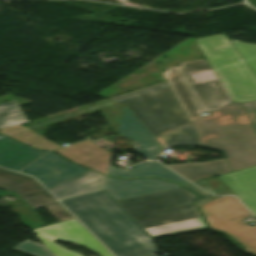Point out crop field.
<instances>
[{
  "label": "crop field",
  "instance_id": "crop-field-1",
  "mask_svg": "<svg viewBox=\"0 0 256 256\" xmlns=\"http://www.w3.org/2000/svg\"><path fill=\"white\" fill-rule=\"evenodd\" d=\"M61 202L117 256L157 252L153 238L104 190Z\"/></svg>",
  "mask_w": 256,
  "mask_h": 256
},
{
  "label": "crop field",
  "instance_id": "crop-field-2",
  "mask_svg": "<svg viewBox=\"0 0 256 256\" xmlns=\"http://www.w3.org/2000/svg\"><path fill=\"white\" fill-rule=\"evenodd\" d=\"M195 198L179 188L117 202L156 238L204 229V223L191 203Z\"/></svg>",
  "mask_w": 256,
  "mask_h": 256
},
{
  "label": "crop field",
  "instance_id": "crop-field-3",
  "mask_svg": "<svg viewBox=\"0 0 256 256\" xmlns=\"http://www.w3.org/2000/svg\"><path fill=\"white\" fill-rule=\"evenodd\" d=\"M193 127L203 147L223 151L232 171L256 165V135L240 104L230 102Z\"/></svg>",
  "mask_w": 256,
  "mask_h": 256
},
{
  "label": "crop field",
  "instance_id": "crop-field-4",
  "mask_svg": "<svg viewBox=\"0 0 256 256\" xmlns=\"http://www.w3.org/2000/svg\"><path fill=\"white\" fill-rule=\"evenodd\" d=\"M179 64L163 74L190 121L231 101L206 59Z\"/></svg>",
  "mask_w": 256,
  "mask_h": 256
},
{
  "label": "crop field",
  "instance_id": "crop-field-5",
  "mask_svg": "<svg viewBox=\"0 0 256 256\" xmlns=\"http://www.w3.org/2000/svg\"><path fill=\"white\" fill-rule=\"evenodd\" d=\"M110 99L124 102L155 138L189 123L167 81Z\"/></svg>",
  "mask_w": 256,
  "mask_h": 256
},
{
  "label": "crop field",
  "instance_id": "crop-field-6",
  "mask_svg": "<svg viewBox=\"0 0 256 256\" xmlns=\"http://www.w3.org/2000/svg\"><path fill=\"white\" fill-rule=\"evenodd\" d=\"M198 46L231 100H256V78L224 34L197 39Z\"/></svg>",
  "mask_w": 256,
  "mask_h": 256
},
{
  "label": "crop field",
  "instance_id": "crop-field-7",
  "mask_svg": "<svg viewBox=\"0 0 256 256\" xmlns=\"http://www.w3.org/2000/svg\"><path fill=\"white\" fill-rule=\"evenodd\" d=\"M200 209L209 227L238 240L246 252L256 256V226L251 227L240 221L251 214L235 197H219L200 206Z\"/></svg>",
  "mask_w": 256,
  "mask_h": 256
},
{
  "label": "crop field",
  "instance_id": "crop-field-8",
  "mask_svg": "<svg viewBox=\"0 0 256 256\" xmlns=\"http://www.w3.org/2000/svg\"><path fill=\"white\" fill-rule=\"evenodd\" d=\"M38 238L55 254V256H82L70 252L55 244L52 240L79 243L101 256H113L75 219L33 229Z\"/></svg>",
  "mask_w": 256,
  "mask_h": 256
},
{
  "label": "crop field",
  "instance_id": "crop-field-9",
  "mask_svg": "<svg viewBox=\"0 0 256 256\" xmlns=\"http://www.w3.org/2000/svg\"><path fill=\"white\" fill-rule=\"evenodd\" d=\"M0 187L15 191L34 208L44 207L59 222L73 219L33 178L0 169Z\"/></svg>",
  "mask_w": 256,
  "mask_h": 256
},
{
  "label": "crop field",
  "instance_id": "crop-field-10",
  "mask_svg": "<svg viewBox=\"0 0 256 256\" xmlns=\"http://www.w3.org/2000/svg\"><path fill=\"white\" fill-rule=\"evenodd\" d=\"M88 169L74 165L49 152L21 172L35 176L46 188L56 186Z\"/></svg>",
  "mask_w": 256,
  "mask_h": 256
},
{
  "label": "crop field",
  "instance_id": "crop-field-11",
  "mask_svg": "<svg viewBox=\"0 0 256 256\" xmlns=\"http://www.w3.org/2000/svg\"><path fill=\"white\" fill-rule=\"evenodd\" d=\"M175 183L160 179L125 180L107 177L105 191L115 200L179 188Z\"/></svg>",
  "mask_w": 256,
  "mask_h": 256
},
{
  "label": "crop field",
  "instance_id": "crop-field-12",
  "mask_svg": "<svg viewBox=\"0 0 256 256\" xmlns=\"http://www.w3.org/2000/svg\"><path fill=\"white\" fill-rule=\"evenodd\" d=\"M55 151L81 165L104 174L110 159V152L89 140Z\"/></svg>",
  "mask_w": 256,
  "mask_h": 256
},
{
  "label": "crop field",
  "instance_id": "crop-field-13",
  "mask_svg": "<svg viewBox=\"0 0 256 256\" xmlns=\"http://www.w3.org/2000/svg\"><path fill=\"white\" fill-rule=\"evenodd\" d=\"M218 177L256 216V166Z\"/></svg>",
  "mask_w": 256,
  "mask_h": 256
},
{
  "label": "crop field",
  "instance_id": "crop-field-14",
  "mask_svg": "<svg viewBox=\"0 0 256 256\" xmlns=\"http://www.w3.org/2000/svg\"><path fill=\"white\" fill-rule=\"evenodd\" d=\"M44 153L0 135V166L18 171Z\"/></svg>",
  "mask_w": 256,
  "mask_h": 256
},
{
  "label": "crop field",
  "instance_id": "crop-field-15",
  "mask_svg": "<svg viewBox=\"0 0 256 256\" xmlns=\"http://www.w3.org/2000/svg\"><path fill=\"white\" fill-rule=\"evenodd\" d=\"M104 176L88 170L49 191L58 199L87 193L102 188Z\"/></svg>",
  "mask_w": 256,
  "mask_h": 256
},
{
  "label": "crop field",
  "instance_id": "crop-field-16",
  "mask_svg": "<svg viewBox=\"0 0 256 256\" xmlns=\"http://www.w3.org/2000/svg\"><path fill=\"white\" fill-rule=\"evenodd\" d=\"M167 167L179 173L192 183L201 178L230 171L224 159L202 163L174 164L168 165Z\"/></svg>",
  "mask_w": 256,
  "mask_h": 256
},
{
  "label": "crop field",
  "instance_id": "crop-field-17",
  "mask_svg": "<svg viewBox=\"0 0 256 256\" xmlns=\"http://www.w3.org/2000/svg\"><path fill=\"white\" fill-rule=\"evenodd\" d=\"M108 175L125 178H135L138 176H156L166 180L176 181L180 184H189L157 162H146L138 164L134 166L131 171L111 167L109 169Z\"/></svg>",
  "mask_w": 256,
  "mask_h": 256
},
{
  "label": "crop field",
  "instance_id": "crop-field-18",
  "mask_svg": "<svg viewBox=\"0 0 256 256\" xmlns=\"http://www.w3.org/2000/svg\"><path fill=\"white\" fill-rule=\"evenodd\" d=\"M0 133L7 134L23 143H26L28 145H31L35 148L39 149H46V150H51L55 149L58 147H61L57 144H54L52 142H49L45 139H43L42 136L20 126H13L10 128L2 129Z\"/></svg>",
  "mask_w": 256,
  "mask_h": 256
},
{
  "label": "crop field",
  "instance_id": "crop-field-19",
  "mask_svg": "<svg viewBox=\"0 0 256 256\" xmlns=\"http://www.w3.org/2000/svg\"><path fill=\"white\" fill-rule=\"evenodd\" d=\"M24 122L28 121L14 100L0 104V129Z\"/></svg>",
  "mask_w": 256,
  "mask_h": 256
},
{
  "label": "crop field",
  "instance_id": "crop-field-20",
  "mask_svg": "<svg viewBox=\"0 0 256 256\" xmlns=\"http://www.w3.org/2000/svg\"><path fill=\"white\" fill-rule=\"evenodd\" d=\"M164 139L168 146H201L191 124L165 136Z\"/></svg>",
  "mask_w": 256,
  "mask_h": 256
},
{
  "label": "crop field",
  "instance_id": "crop-field-21",
  "mask_svg": "<svg viewBox=\"0 0 256 256\" xmlns=\"http://www.w3.org/2000/svg\"><path fill=\"white\" fill-rule=\"evenodd\" d=\"M96 104L116 133L124 103L106 99Z\"/></svg>",
  "mask_w": 256,
  "mask_h": 256
},
{
  "label": "crop field",
  "instance_id": "crop-field-22",
  "mask_svg": "<svg viewBox=\"0 0 256 256\" xmlns=\"http://www.w3.org/2000/svg\"><path fill=\"white\" fill-rule=\"evenodd\" d=\"M230 42L237 49V51L243 57L245 63L248 65L250 70L256 76V45L245 44L235 40H231Z\"/></svg>",
  "mask_w": 256,
  "mask_h": 256
},
{
  "label": "crop field",
  "instance_id": "crop-field-23",
  "mask_svg": "<svg viewBox=\"0 0 256 256\" xmlns=\"http://www.w3.org/2000/svg\"><path fill=\"white\" fill-rule=\"evenodd\" d=\"M122 136L133 140L138 145L140 144L143 145L150 151V153L155 158L162 148V146L158 143V141L154 137L148 138L144 132H128L126 134H123Z\"/></svg>",
  "mask_w": 256,
  "mask_h": 256
},
{
  "label": "crop field",
  "instance_id": "crop-field-24",
  "mask_svg": "<svg viewBox=\"0 0 256 256\" xmlns=\"http://www.w3.org/2000/svg\"><path fill=\"white\" fill-rule=\"evenodd\" d=\"M12 250H15L30 256H54L53 253L45 245H40L28 240L19 244Z\"/></svg>",
  "mask_w": 256,
  "mask_h": 256
},
{
  "label": "crop field",
  "instance_id": "crop-field-25",
  "mask_svg": "<svg viewBox=\"0 0 256 256\" xmlns=\"http://www.w3.org/2000/svg\"><path fill=\"white\" fill-rule=\"evenodd\" d=\"M128 131H144L148 137L152 136L135 115L122 119L120 122L118 133L123 134Z\"/></svg>",
  "mask_w": 256,
  "mask_h": 256
},
{
  "label": "crop field",
  "instance_id": "crop-field-26",
  "mask_svg": "<svg viewBox=\"0 0 256 256\" xmlns=\"http://www.w3.org/2000/svg\"><path fill=\"white\" fill-rule=\"evenodd\" d=\"M205 181L219 194H234L217 176L205 179Z\"/></svg>",
  "mask_w": 256,
  "mask_h": 256
},
{
  "label": "crop field",
  "instance_id": "crop-field-27",
  "mask_svg": "<svg viewBox=\"0 0 256 256\" xmlns=\"http://www.w3.org/2000/svg\"><path fill=\"white\" fill-rule=\"evenodd\" d=\"M255 130H256V101L243 104Z\"/></svg>",
  "mask_w": 256,
  "mask_h": 256
},
{
  "label": "crop field",
  "instance_id": "crop-field-28",
  "mask_svg": "<svg viewBox=\"0 0 256 256\" xmlns=\"http://www.w3.org/2000/svg\"><path fill=\"white\" fill-rule=\"evenodd\" d=\"M185 188L194 191V192L200 197V199L195 202V204H197V205L213 197V196H211V195L205 193L204 191L200 190L199 188H197V187H195V186H193V185L185 186ZM210 200H211V199H210ZM208 201H209V200H208ZM206 202H207V201H206ZM204 203H205V202H204ZM202 204H203V203H202ZM200 205H201V204H200Z\"/></svg>",
  "mask_w": 256,
  "mask_h": 256
},
{
  "label": "crop field",
  "instance_id": "crop-field-29",
  "mask_svg": "<svg viewBox=\"0 0 256 256\" xmlns=\"http://www.w3.org/2000/svg\"><path fill=\"white\" fill-rule=\"evenodd\" d=\"M132 149L143 155L147 160H155V158L149 153V151L141 145Z\"/></svg>",
  "mask_w": 256,
  "mask_h": 256
},
{
  "label": "crop field",
  "instance_id": "crop-field-30",
  "mask_svg": "<svg viewBox=\"0 0 256 256\" xmlns=\"http://www.w3.org/2000/svg\"><path fill=\"white\" fill-rule=\"evenodd\" d=\"M195 184L200 186V187H202V188H204V189H206L210 193L217 195V193L204 180H201V181H199V182H197Z\"/></svg>",
  "mask_w": 256,
  "mask_h": 256
},
{
  "label": "crop field",
  "instance_id": "crop-field-31",
  "mask_svg": "<svg viewBox=\"0 0 256 256\" xmlns=\"http://www.w3.org/2000/svg\"><path fill=\"white\" fill-rule=\"evenodd\" d=\"M130 115H133V113L126 106H124V110H123L121 119L125 118L127 116H130Z\"/></svg>",
  "mask_w": 256,
  "mask_h": 256
},
{
  "label": "crop field",
  "instance_id": "crop-field-32",
  "mask_svg": "<svg viewBox=\"0 0 256 256\" xmlns=\"http://www.w3.org/2000/svg\"><path fill=\"white\" fill-rule=\"evenodd\" d=\"M148 256H156L155 254H152V255H148Z\"/></svg>",
  "mask_w": 256,
  "mask_h": 256
}]
</instances>
